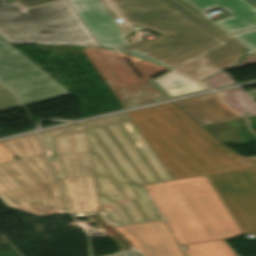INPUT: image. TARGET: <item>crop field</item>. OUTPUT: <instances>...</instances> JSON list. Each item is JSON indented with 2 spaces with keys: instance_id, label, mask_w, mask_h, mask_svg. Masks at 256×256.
<instances>
[{
  "instance_id": "obj_1",
  "label": "crop field",
  "mask_w": 256,
  "mask_h": 256,
  "mask_svg": "<svg viewBox=\"0 0 256 256\" xmlns=\"http://www.w3.org/2000/svg\"><path fill=\"white\" fill-rule=\"evenodd\" d=\"M81 125L103 219L117 226L161 219L140 185L174 178L127 113Z\"/></svg>"
},
{
  "instance_id": "obj_2",
  "label": "crop field",
  "mask_w": 256,
  "mask_h": 256,
  "mask_svg": "<svg viewBox=\"0 0 256 256\" xmlns=\"http://www.w3.org/2000/svg\"><path fill=\"white\" fill-rule=\"evenodd\" d=\"M118 15L137 30H154L161 36L140 39L123 48L162 66L173 68L215 46L225 44L176 68L202 82L238 62L245 47L207 19L177 0H108Z\"/></svg>"
},
{
  "instance_id": "obj_3",
  "label": "crop field",
  "mask_w": 256,
  "mask_h": 256,
  "mask_svg": "<svg viewBox=\"0 0 256 256\" xmlns=\"http://www.w3.org/2000/svg\"><path fill=\"white\" fill-rule=\"evenodd\" d=\"M128 115L175 179L256 166L219 143L173 103Z\"/></svg>"
},
{
  "instance_id": "obj_4",
  "label": "crop field",
  "mask_w": 256,
  "mask_h": 256,
  "mask_svg": "<svg viewBox=\"0 0 256 256\" xmlns=\"http://www.w3.org/2000/svg\"><path fill=\"white\" fill-rule=\"evenodd\" d=\"M178 245L242 234L210 183L142 187Z\"/></svg>"
},
{
  "instance_id": "obj_5",
  "label": "crop field",
  "mask_w": 256,
  "mask_h": 256,
  "mask_svg": "<svg viewBox=\"0 0 256 256\" xmlns=\"http://www.w3.org/2000/svg\"><path fill=\"white\" fill-rule=\"evenodd\" d=\"M19 158L0 164V200L33 213H69L35 135L4 142Z\"/></svg>"
},
{
  "instance_id": "obj_6",
  "label": "crop field",
  "mask_w": 256,
  "mask_h": 256,
  "mask_svg": "<svg viewBox=\"0 0 256 256\" xmlns=\"http://www.w3.org/2000/svg\"><path fill=\"white\" fill-rule=\"evenodd\" d=\"M0 35L10 43L99 47L66 0L32 9L0 5Z\"/></svg>"
},
{
  "instance_id": "obj_7",
  "label": "crop field",
  "mask_w": 256,
  "mask_h": 256,
  "mask_svg": "<svg viewBox=\"0 0 256 256\" xmlns=\"http://www.w3.org/2000/svg\"><path fill=\"white\" fill-rule=\"evenodd\" d=\"M74 215L100 212L80 123L38 133Z\"/></svg>"
},
{
  "instance_id": "obj_8",
  "label": "crop field",
  "mask_w": 256,
  "mask_h": 256,
  "mask_svg": "<svg viewBox=\"0 0 256 256\" xmlns=\"http://www.w3.org/2000/svg\"><path fill=\"white\" fill-rule=\"evenodd\" d=\"M0 80L24 105L70 94L7 41L0 42Z\"/></svg>"
},
{
  "instance_id": "obj_9",
  "label": "crop field",
  "mask_w": 256,
  "mask_h": 256,
  "mask_svg": "<svg viewBox=\"0 0 256 256\" xmlns=\"http://www.w3.org/2000/svg\"><path fill=\"white\" fill-rule=\"evenodd\" d=\"M206 177L243 234H256V167Z\"/></svg>"
},
{
  "instance_id": "obj_10",
  "label": "crop field",
  "mask_w": 256,
  "mask_h": 256,
  "mask_svg": "<svg viewBox=\"0 0 256 256\" xmlns=\"http://www.w3.org/2000/svg\"><path fill=\"white\" fill-rule=\"evenodd\" d=\"M68 2L101 47L113 50L129 42L125 37L131 34L132 29L127 24H119L114 20L117 15L105 0Z\"/></svg>"
},
{
  "instance_id": "obj_11",
  "label": "crop field",
  "mask_w": 256,
  "mask_h": 256,
  "mask_svg": "<svg viewBox=\"0 0 256 256\" xmlns=\"http://www.w3.org/2000/svg\"><path fill=\"white\" fill-rule=\"evenodd\" d=\"M119 228L134 238L128 242L142 256H184L162 220Z\"/></svg>"
},
{
  "instance_id": "obj_12",
  "label": "crop field",
  "mask_w": 256,
  "mask_h": 256,
  "mask_svg": "<svg viewBox=\"0 0 256 256\" xmlns=\"http://www.w3.org/2000/svg\"><path fill=\"white\" fill-rule=\"evenodd\" d=\"M202 11L221 8L232 16L215 21L232 34L256 27V8L245 0H187ZM227 13V14H228Z\"/></svg>"
},
{
  "instance_id": "obj_13",
  "label": "crop field",
  "mask_w": 256,
  "mask_h": 256,
  "mask_svg": "<svg viewBox=\"0 0 256 256\" xmlns=\"http://www.w3.org/2000/svg\"><path fill=\"white\" fill-rule=\"evenodd\" d=\"M200 126L241 118L230 110L216 93L175 102Z\"/></svg>"
},
{
  "instance_id": "obj_14",
  "label": "crop field",
  "mask_w": 256,
  "mask_h": 256,
  "mask_svg": "<svg viewBox=\"0 0 256 256\" xmlns=\"http://www.w3.org/2000/svg\"><path fill=\"white\" fill-rule=\"evenodd\" d=\"M167 98L208 90V88L175 72H168L150 81Z\"/></svg>"
},
{
  "instance_id": "obj_15",
  "label": "crop field",
  "mask_w": 256,
  "mask_h": 256,
  "mask_svg": "<svg viewBox=\"0 0 256 256\" xmlns=\"http://www.w3.org/2000/svg\"><path fill=\"white\" fill-rule=\"evenodd\" d=\"M242 126H246L244 118L203 126V128L219 142L226 144L240 141L237 128Z\"/></svg>"
},
{
  "instance_id": "obj_16",
  "label": "crop field",
  "mask_w": 256,
  "mask_h": 256,
  "mask_svg": "<svg viewBox=\"0 0 256 256\" xmlns=\"http://www.w3.org/2000/svg\"><path fill=\"white\" fill-rule=\"evenodd\" d=\"M185 250L187 256H235L236 254L225 241L190 245Z\"/></svg>"
},
{
  "instance_id": "obj_17",
  "label": "crop field",
  "mask_w": 256,
  "mask_h": 256,
  "mask_svg": "<svg viewBox=\"0 0 256 256\" xmlns=\"http://www.w3.org/2000/svg\"><path fill=\"white\" fill-rule=\"evenodd\" d=\"M21 106L19 98L4 85L0 84V112Z\"/></svg>"
},
{
  "instance_id": "obj_18",
  "label": "crop field",
  "mask_w": 256,
  "mask_h": 256,
  "mask_svg": "<svg viewBox=\"0 0 256 256\" xmlns=\"http://www.w3.org/2000/svg\"><path fill=\"white\" fill-rule=\"evenodd\" d=\"M233 36L256 52V29L242 32Z\"/></svg>"
},
{
  "instance_id": "obj_19",
  "label": "crop field",
  "mask_w": 256,
  "mask_h": 256,
  "mask_svg": "<svg viewBox=\"0 0 256 256\" xmlns=\"http://www.w3.org/2000/svg\"><path fill=\"white\" fill-rule=\"evenodd\" d=\"M198 182H208V180L206 179L205 175H202V176H196V177H191V178L179 179V180L156 183V184H150V185H144V186L180 184V183H198Z\"/></svg>"
},
{
  "instance_id": "obj_20",
  "label": "crop field",
  "mask_w": 256,
  "mask_h": 256,
  "mask_svg": "<svg viewBox=\"0 0 256 256\" xmlns=\"http://www.w3.org/2000/svg\"><path fill=\"white\" fill-rule=\"evenodd\" d=\"M15 155L9 150V148L3 143H0V163L13 160Z\"/></svg>"
},
{
  "instance_id": "obj_21",
  "label": "crop field",
  "mask_w": 256,
  "mask_h": 256,
  "mask_svg": "<svg viewBox=\"0 0 256 256\" xmlns=\"http://www.w3.org/2000/svg\"><path fill=\"white\" fill-rule=\"evenodd\" d=\"M17 1L25 7H31V6H35V5H39V4H43V3H47L55 0H17Z\"/></svg>"
},
{
  "instance_id": "obj_22",
  "label": "crop field",
  "mask_w": 256,
  "mask_h": 256,
  "mask_svg": "<svg viewBox=\"0 0 256 256\" xmlns=\"http://www.w3.org/2000/svg\"><path fill=\"white\" fill-rule=\"evenodd\" d=\"M108 256H141L136 250L122 251Z\"/></svg>"
},
{
  "instance_id": "obj_23",
  "label": "crop field",
  "mask_w": 256,
  "mask_h": 256,
  "mask_svg": "<svg viewBox=\"0 0 256 256\" xmlns=\"http://www.w3.org/2000/svg\"><path fill=\"white\" fill-rule=\"evenodd\" d=\"M119 234H121L126 240L128 239H132L129 235H127L125 232H123L121 229H119L118 227L114 228Z\"/></svg>"
},
{
  "instance_id": "obj_24",
  "label": "crop field",
  "mask_w": 256,
  "mask_h": 256,
  "mask_svg": "<svg viewBox=\"0 0 256 256\" xmlns=\"http://www.w3.org/2000/svg\"><path fill=\"white\" fill-rule=\"evenodd\" d=\"M247 1L253 4L254 6H256V0H247Z\"/></svg>"
},
{
  "instance_id": "obj_25",
  "label": "crop field",
  "mask_w": 256,
  "mask_h": 256,
  "mask_svg": "<svg viewBox=\"0 0 256 256\" xmlns=\"http://www.w3.org/2000/svg\"><path fill=\"white\" fill-rule=\"evenodd\" d=\"M181 2H183L184 4L188 5L187 3H185L183 0H180ZM189 7H191L192 9L196 10L195 8H193L192 6L188 5ZM197 12H199L198 10H196ZM201 13V12H199ZM202 14V13H201Z\"/></svg>"
},
{
  "instance_id": "obj_26",
  "label": "crop field",
  "mask_w": 256,
  "mask_h": 256,
  "mask_svg": "<svg viewBox=\"0 0 256 256\" xmlns=\"http://www.w3.org/2000/svg\"><path fill=\"white\" fill-rule=\"evenodd\" d=\"M4 39H2L1 37H0V41H3Z\"/></svg>"
},
{
  "instance_id": "obj_27",
  "label": "crop field",
  "mask_w": 256,
  "mask_h": 256,
  "mask_svg": "<svg viewBox=\"0 0 256 256\" xmlns=\"http://www.w3.org/2000/svg\"><path fill=\"white\" fill-rule=\"evenodd\" d=\"M188 62V61H187ZM186 63V62H185ZM184 64V63H183ZM182 65V64H181Z\"/></svg>"
},
{
  "instance_id": "obj_28",
  "label": "crop field",
  "mask_w": 256,
  "mask_h": 256,
  "mask_svg": "<svg viewBox=\"0 0 256 256\" xmlns=\"http://www.w3.org/2000/svg\"><path fill=\"white\" fill-rule=\"evenodd\" d=\"M237 256V255H236Z\"/></svg>"
}]
</instances>
